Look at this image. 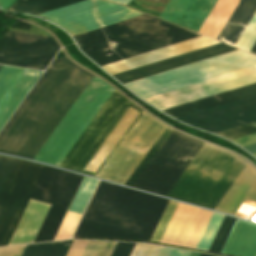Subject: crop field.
Here are the masks:
<instances>
[{"instance_id":"obj_8","label":"crop field","mask_w":256,"mask_h":256,"mask_svg":"<svg viewBox=\"0 0 256 256\" xmlns=\"http://www.w3.org/2000/svg\"><path fill=\"white\" fill-rule=\"evenodd\" d=\"M44 167L0 156V246L7 244Z\"/></svg>"},{"instance_id":"obj_15","label":"crop field","mask_w":256,"mask_h":256,"mask_svg":"<svg viewBox=\"0 0 256 256\" xmlns=\"http://www.w3.org/2000/svg\"><path fill=\"white\" fill-rule=\"evenodd\" d=\"M245 198L256 202V171L248 164L215 207V210L234 215Z\"/></svg>"},{"instance_id":"obj_26","label":"crop field","mask_w":256,"mask_h":256,"mask_svg":"<svg viewBox=\"0 0 256 256\" xmlns=\"http://www.w3.org/2000/svg\"><path fill=\"white\" fill-rule=\"evenodd\" d=\"M213 212L200 210L183 246L195 249Z\"/></svg>"},{"instance_id":"obj_28","label":"crop field","mask_w":256,"mask_h":256,"mask_svg":"<svg viewBox=\"0 0 256 256\" xmlns=\"http://www.w3.org/2000/svg\"><path fill=\"white\" fill-rule=\"evenodd\" d=\"M255 132H256V122L252 123V124H249V125H245V126L236 128V129H232V130H229V131H226V132H223V133H219V134H216V135H219V136L224 137L228 140H231V139H235V138L245 136V135H248V134H252V133H255ZM243 148L245 150H247L248 152L252 153V154L256 153V143L243 146Z\"/></svg>"},{"instance_id":"obj_27","label":"crop field","mask_w":256,"mask_h":256,"mask_svg":"<svg viewBox=\"0 0 256 256\" xmlns=\"http://www.w3.org/2000/svg\"><path fill=\"white\" fill-rule=\"evenodd\" d=\"M2 66H0V69ZM23 71L21 68L3 66L0 70V101Z\"/></svg>"},{"instance_id":"obj_33","label":"crop field","mask_w":256,"mask_h":256,"mask_svg":"<svg viewBox=\"0 0 256 256\" xmlns=\"http://www.w3.org/2000/svg\"><path fill=\"white\" fill-rule=\"evenodd\" d=\"M26 245L0 248V256H21Z\"/></svg>"},{"instance_id":"obj_31","label":"crop field","mask_w":256,"mask_h":256,"mask_svg":"<svg viewBox=\"0 0 256 256\" xmlns=\"http://www.w3.org/2000/svg\"><path fill=\"white\" fill-rule=\"evenodd\" d=\"M235 218H231V217H225L209 251L211 252H217L219 253L234 222H235Z\"/></svg>"},{"instance_id":"obj_30","label":"crop field","mask_w":256,"mask_h":256,"mask_svg":"<svg viewBox=\"0 0 256 256\" xmlns=\"http://www.w3.org/2000/svg\"><path fill=\"white\" fill-rule=\"evenodd\" d=\"M80 217H81L80 214L68 212L66 214L54 240L68 239L72 235Z\"/></svg>"},{"instance_id":"obj_35","label":"crop field","mask_w":256,"mask_h":256,"mask_svg":"<svg viewBox=\"0 0 256 256\" xmlns=\"http://www.w3.org/2000/svg\"><path fill=\"white\" fill-rule=\"evenodd\" d=\"M250 52L256 54V41H255L254 45L252 46V48L250 49Z\"/></svg>"},{"instance_id":"obj_13","label":"crop field","mask_w":256,"mask_h":256,"mask_svg":"<svg viewBox=\"0 0 256 256\" xmlns=\"http://www.w3.org/2000/svg\"><path fill=\"white\" fill-rule=\"evenodd\" d=\"M177 119L213 134L223 132L256 121V95Z\"/></svg>"},{"instance_id":"obj_1","label":"crop field","mask_w":256,"mask_h":256,"mask_svg":"<svg viewBox=\"0 0 256 256\" xmlns=\"http://www.w3.org/2000/svg\"><path fill=\"white\" fill-rule=\"evenodd\" d=\"M113 90L114 89L94 76L63 120L51 134L49 139L34 157V160L59 166ZM127 109L139 113L138 116L137 113ZM142 112L143 111L141 109L131 104L114 90L66 158L60 164V167L96 177ZM84 167L86 170L94 172H96L98 168L99 169L96 173H93L83 170Z\"/></svg>"},{"instance_id":"obj_11","label":"crop field","mask_w":256,"mask_h":256,"mask_svg":"<svg viewBox=\"0 0 256 256\" xmlns=\"http://www.w3.org/2000/svg\"><path fill=\"white\" fill-rule=\"evenodd\" d=\"M59 49L53 38L9 31L0 39V64L44 70Z\"/></svg>"},{"instance_id":"obj_38","label":"crop field","mask_w":256,"mask_h":256,"mask_svg":"<svg viewBox=\"0 0 256 256\" xmlns=\"http://www.w3.org/2000/svg\"><path fill=\"white\" fill-rule=\"evenodd\" d=\"M256 156V154H254Z\"/></svg>"},{"instance_id":"obj_25","label":"crop field","mask_w":256,"mask_h":256,"mask_svg":"<svg viewBox=\"0 0 256 256\" xmlns=\"http://www.w3.org/2000/svg\"><path fill=\"white\" fill-rule=\"evenodd\" d=\"M171 133L172 130L166 127V129L163 131V133L160 135V137L148 151L146 156L143 158V160L140 162V164L137 166V168L134 170V172L131 174L128 180L125 182V185L132 187V185L135 183V181L138 179V177L141 175V173L144 171L146 166L149 164V162L152 160V158L155 156V154L158 152L160 147L163 145V143L166 141V139L169 137Z\"/></svg>"},{"instance_id":"obj_12","label":"crop field","mask_w":256,"mask_h":256,"mask_svg":"<svg viewBox=\"0 0 256 256\" xmlns=\"http://www.w3.org/2000/svg\"><path fill=\"white\" fill-rule=\"evenodd\" d=\"M256 82V66L145 100L163 111Z\"/></svg>"},{"instance_id":"obj_4","label":"crop field","mask_w":256,"mask_h":256,"mask_svg":"<svg viewBox=\"0 0 256 256\" xmlns=\"http://www.w3.org/2000/svg\"><path fill=\"white\" fill-rule=\"evenodd\" d=\"M198 36L144 15L73 38L84 54L102 66Z\"/></svg>"},{"instance_id":"obj_19","label":"crop field","mask_w":256,"mask_h":256,"mask_svg":"<svg viewBox=\"0 0 256 256\" xmlns=\"http://www.w3.org/2000/svg\"><path fill=\"white\" fill-rule=\"evenodd\" d=\"M42 72L27 70L21 73L6 96L0 102V129L22 101Z\"/></svg>"},{"instance_id":"obj_20","label":"crop field","mask_w":256,"mask_h":256,"mask_svg":"<svg viewBox=\"0 0 256 256\" xmlns=\"http://www.w3.org/2000/svg\"><path fill=\"white\" fill-rule=\"evenodd\" d=\"M199 208L179 204L161 243L181 246Z\"/></svg>"},{"instance_id":"obj_36","label":"crop field","mask_w":256,"mask_h":256,"mask_svg":"<svg viewBox=\"0 0 256 256\" xmlns=\"http://www.w3.org/2000/svg\"><path fill=\"white\" fill-rule=\"evenodd\" d=\"M199 253H196V252H192L190 256H198Z\"/></svg>"},{"instance_id":"obj_32","label":"crop field","mask_w":256,"mask_h":256,"mask_svg":"<svg viewBox=\"0 0 256 256\" xmlns=\"http://www.w3.org/2000/svg\"><path fill=\"white\" fill-rule=\"evenodd\" d=\"M177 205H178V202H174V201H171V200L169 201V203H168V205H167V207H166V209H165V211H164V213H163V215L160 219V222H159V224H158V226H157V228H156V230H155V232H154L150 241H152V242H159L160 241V239H161V237H162V235H163V233H164V231H165V229H166V227H167V225H168V223H169V221H170V219H171V217H172V215H173V213H174V211L177 207Z\"/></svg>"},{"instance_id":"obj_18","label":"crop field","mask_w":256,"mask_h":256,"mask_svg":"<svg viewBox=\"0 0 256 256\" xmlns=\"http://www.w3.org/2000/svg\"><path fill=\"white\" fill-rule=\"evenodd\" d=\"M254 94H256V83L163 112L177 118Z\"/></svg>"},{"instance_id":"obj_17","label":"crop field","mask_w":256,"mask_h":256,"mask_svg":"<svg viewBox=\"0 0 256 256\" xmlns=\"http://www.w3.org/2000/svg\"><path fill=\"white\" fill-rule=\"evenodd\" d=\"M256 13V0H240L217 40L235 46Z\"/></svg>"},{"instance_id":"obj_7","label":"crop field","mask_w":256,"mask_h":256,"mask_svg":"<svg viewBox=\"0 0 256 256\" xmlns=\"http://www.w3.org/2000/svg\"><path fill=\"white\" fill-rule=\"evenodd\" d=\"M217 43L219 42L201 36L119 62L105 65L102 66V68L108 71L111 75H114ZM234 50L237 49L220 43L141 68L117 74L114 75V77L121 83L125 84Z\"/></svg>"},{"instance_id":"obj_6","label":"crop field","mask_w":256,"mask_h":256,"mask_svg":"<svg viewBox=\"0 0 256 256\" xmlns=\"http://www.w3.org/2000/svg\"><path fill=\"white\" fill-rule=\"evenodd\" d=\"M206 145L202 146L166 197L214 209L245 167V162L229 152L208 145L244 163Z\"/></svg>"},{"instance_id":"obj_3","label":"crop field","mask_w":256,"mask_h":256,"mask_svg":"<svg viewBox=\"0 0 256 256\" xmlns=\"http://www.w3.org/2000/svg\"><path fill=\"white\" fill-rule=\"evenodd\" d=\"M168 201L101 181L74 236L149 241Z\"/></svg>"},{"instance_id":"obj_10","label":"crop field","mask_w":256,"mask_h":256,"mask_svg":"<svg viewBox=\"0 0 256 256\" xmlns=\"http://www.w3.org/2000/svg\"><path fill=\"white\" fill-rule=\"evenodd\" d=\"M165 127L143 112L97 177L124 184Z\"/></svg>"},{"instance_id":"obj_5","label":"crop field","mask_w":256,"mask_h":256,"mask_svg":"<svg viewBox=\"0 0 256 256\" xmlns=\"http://www.w3.org/2000/svg\"><path fill=\"white\" fill-rule=\"evenodd\" d=\"M82 179L46 166L30 198L51 204L30 199L8 245L30 243L49 204L32 243L52 240Z\"/></svg>"},{"instance_id":"obj_16","label":"crop field","mask_w":256,"mask_h":256,"mask_svg":"<svg viewBox=\"0 0 256 256\" xmlns=\"http://www.w3.org/2000/svg\"><path fill=\"white\" fill-rule=\"evenodd\" d=\"M220 253L256 256V224L237 219Z\"/></svg>"},{"instance_id":"obj_9","label":"crop field","mask_w":256,"mask_h":256,"mask_svg":"<svg viewBox=\"0 0 256 256\" xmlns=\"http://www.w3.org/2000/svg\"><path fill=\"white\" fill-rule=\"evenodd\" d=\"M202 145L173 131L133 188L165 196Z\"/></svg>"},{"instance_id":"obj_29","label":"crop field","mask_w":256,"mask_h":256,"mask_svg":"<svg viewBox=\"0 0 256 256\" xmlns=\"http://www.w3.org/2000/svg\"><path fill=\"white\" fill-rule=\"evenodd\" d=\"M117 242L90 241L83 256H110Z\"/></svg>"},{"instance_id":"obj_34","label":"crop field","mask_w":256,"mask_h":256,"mask_svg":"<svg viewBox=\"0 0 256 256\" xmlns=\"http://www.w3.org/2000/svg\"><path fill=\"white\" fill-rule=\"evenodd\" d=\"M13 2L14 0H0V7L6 10Z\"/></svg>"},{"instance_id":"obj_23","label":"crop field","mask_w":256,"mask_h":256,"mask_svg":"<svg viewBox=\"0 0 256 256\" xmlns=\"http://www.w3.org/2000/svg\"><path fill=\"white\" fill-rule=\"evenodd\" d=\"M73 240L27 245L22 256H65Z\"/></svg>"},{"instance_id":"obj_37","label":"crop field","mask_w":256,"mask_h":256,"mask_svg":"<svg viewBox=\"0 0 256 256\" xmlns=\"http://www.w3.org/2000/svg\"><path fill=\"white\" fill-rule=\"evenodd\" d=\"M200 256H214V255H209V254H203V253H201Z\"/></svg>"},{"instance_id":"obj_21","label":"crop field","mask_w":256,"mask_h":256,"mask_svg":"<svg viewBox=\"0 0 256 256\" xmlns=\"http://www.w3.org/2000/svg\"><path fill=\"white\" fill-rule=\"evenodd\" d=\"M239 0H218L199 33L216 39Z\"/></svg>"},{"instance_id":"obj_2","label":"crop field","mask_w":256,"mask_h":256,"mask_svg":"<svg viewBox=\"0 0 256 256\" xmlns=\"http://www.w3.org/2000/svg\"><path fill=\"white\" fill-rule=\"evenodd\" d=\"M92 78L55 59L0 132V153L33 159Z\"/></svg>"},{"instance_id":"obj_24","label":"crop field","mask_w":256,"mask_h":256,"mask_svg":"<svg viewBox=\"0 0 256 256\" xmlns=\"http://www.w3.org/2000/svg\"><path fill=\"white\" fill-rule=\"evenodd\" d=\"M136 243L118 242L111 256H130ZM162 247L136 244L131 256H158Z\"/></svg>"},{"instance_id":"obj_22","label":"crop field","mask_w":256,"mask_h":256,"mask_svg":"<svg viewBox=\"0 0 256 256\" xmlns=\"http://www.w3.org/2000/svg\"><path fill=\"white\" fill-rule=\"evenodd\" d=\"M78 1L82 0H17L8 11L38 14Z\"/></svg>"},{"instance_id":"obj_14","label":"crop field","mask_w":256,"mask_h":256,"mask_svg":"<svg viewBox=\"0 0 256 256\" xmlns=\"http://www.w3.org/2000/svg\"><path fill=\"white\" fill-rule=\"evenodd\" d=\"M217 0H170L159 19L198 32Z\"/></svg>"}]
</instances>
